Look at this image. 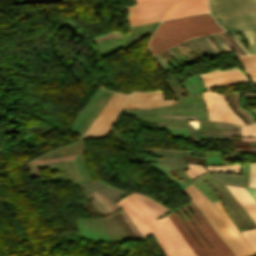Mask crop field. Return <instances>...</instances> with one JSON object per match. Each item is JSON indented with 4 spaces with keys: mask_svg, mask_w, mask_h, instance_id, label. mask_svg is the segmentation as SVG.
I'll return each mask as SVG.
<instances>
[{
    "mask_svg": "<svg viewBox=\"0 0 256 256\" xmlns=\"http://www.w3.org/2000/svg\"><path fill=\"white\" fill-rule=\"evenodd\" d=\"M116 204L121 206L143 236L153 234L166 256H196L170 220H156L171 209L149 197L132 193Z\"/></svg>",
    "mask_w": 256,
    "mask_h": 256,
    "instance_id": "8a807250",
    "label": "crop field"
},
{
    "mask_svg": "<svg viewBox=\"0 0 256 256\" xmlns=\"http://www.w3.org/2000/svg\"><path fill=\"white\" fill-rule=\"evenodd\" d=\"M189 208L195 214L200 223L195 219L189 209L185 206L181 207L184 212L190 217V219L194 222L200 232L203 234L205 239L211 245V247L207 244V242L201 237L198 230L192 224V222L188 219V217L182 212L180 208L176 209L180 216L183 218L187 226L190 228L192 233L195 235L197 240L200 242L201 246L194 236L191 234L189 229L186 227L184 222L181 220L176 211L167 215L192 250L195 252L197 256H233V254L229 251V249L225 246V244L221 241V239L217 236V234L213 231V229L209 226V224L205 221L193 203L188 204Z\"/></svg>",
    "mask_w": 256,
    "mask_h": 256,
    "instance_id": "ac0d7876",
    "label": "crop field"
},
{
    "mask_svg": "<svg viewBox=\"0 0 256 256\" xmlns=\"http://www.w3.org/2000/svg\"><path fill=\"white\" fill-rule=\"evenodd\" d=\"M223 31L209 14H198L162 21L156 30L150 51L155 55L187 38Z\"/></svg>",
    "mask_w": 256,
    "mask_h": 256,
    "instance_id": "34b2d1b8",
    "label": "crop field"
},
{
    "mask_svg": "<svg viewBox=\"0 0 256 256\" xmlns=\"http://www.w3.org/2000/svg\"><path fill=\"white\" fill-rule=\"evenodd\" d=\"M209 12L228 32L244 30L256 53V0H208Z\"/></svg>",
    "mask_w": 256,
    "mask_h": 256,
    "instance_id": "412701ff",
    "label": "crop field"
},
{
    "mask_svg": "<svg viewBox=\"0 0 256 256\" xmlns=\"http://www.w3.org/2000/svg\"><path fill=\"white\" fill-rule=\"evenodd\" d=\"M136 3L124 7L130 26L207 11L206 0H141Z\"/></svg>",
    "mask_w": 256,
    "mask_h": 256,
    "instance_id": "f4fd0767",
    "label": "crop field"
},
{
    "mask_svg": "<svg viewBox=\"0 0 256 256\" xmlns=\"http://www.w3.org/2000/svg\"><path fill=\"white\" fill-rule=\"evenodd\" d=\"M198 76L208 90V92H204L202 95L205 106L208 109L209 120L228 121L234 124L244 125V122L228 107L224 96L210 92L209 89L218 86L250 83L246 76L237 68L225 71L215 70L207 74H199Z\"/></svg>",
    "mask_w": 256,
    "mask_h": 256,
    "instance_id": "dd49c442",
    "label": "crop field"
},
{
    "mask_svg": "<svg viewBox=\"0 0 256 256\" xmlns=\"http://www.w3.org/2000/svg\"><path fill=\"white\" fill-rule=\"evenodd\" d=\"M193 187L192 185L186 189H184V192L187 191ZM191 200L194 202V204L197 206V208L200 210V212L204 215V217L208 220V222L213 226V228L218 232V234L223 238V240L228 244V246L233 250V252L237 256H251L255 254L253 249L248 245V243L242 238V236L239 234L236 227L233 225V223L230 221L228 215L226 214L221 202L215 204V207L219 211V213L222 215L226 225L231 230L232 233L229 231V229L226 227L224 222L221 220L219 215L216 213V211L213 209V207L207 202V200L193 187L187 192H185ZM256 256V255H254Z\"/></svg>",
    "mask_w": 256,
    "mask_h": 256,
    "instance_id": "e52e79f7",
    "label": "crop field"
},
{
    "mask_svg": "<svg viewBox=\"0 0 256 256\" xmlns=\"http://www.w3.org/2000/svg\"><path fill=\"white\" fill-rule=\"evenodd\" d=\"M129 96L130 95H121L111 92L82 137L104 136L108 132Z\"/></svg>",
    "mask_w": 256,
    "mask_h": 256,
    "instance_id": "d8731c3e",
    "label": "crop field"
},
{
    "mask_svg": "<svg viewBox=\"0 0 256 256\" xmlns=\"http://www.w3.org/2000/svg\"><path fill=\"white\" fill-rule=\"evenodd\" d=\"M175 104L173 99L164 100L161 91L153 93H135L127 102L125 108L158 107Z\"/></svg>",
    "mask_w": 256,
    "mask_h": 256,
    "instance_id": "5a996713",
    "label": "crop field"
},
{
    "mask_svg": "<svg viewBox=\"0 0 256 256\" xmlns=\"http://www.w3.org/2000/svg\"><path fill=\"white\" fill-rule=\"evenodd\" d=\"M227 188L236 197V199L240 202V204L245 208V210L250 214L256 223V203L251 199L245 189L232 186H227ZM250 231L256 238V229H252Z\"/></svg>",
    "mask_w": 256,
    "mask_h": 256,
    "instance_id": "3316defc",
    "label": "crop field"
},
{
    "mask_svg": "<svg viewBox=\"0 0 256 256\" xmlns=\"http://www.w3.org/2000/svg\"><path fill=\"white\" fill-rule=\"evenodd\" d=\"M209 172H241V164L210 167L205 166Z\"/></svg>",
    "mask_w": 256,
    "mask_h": 256,
    "instance_id": "28ad6ade",
    "label": "crop field"
},
{
    "mask_svg": "<svg viewBox=\"0 0 256 256\" xmlns=\"http://www.w3.org/2000/svg\"><path fill=\"white\" fill-rule=\"evenodd\" d=\"M251 57H256V55H250V56H244L243 59L245 58H251ZM243 69L246 71L248 75H256V64H250V63H256V61H249V60H256V58H251V59H245L244 61H249L245 62L246 64L250 65H245L244 62L242 61L241 57H238Z\"/></svg>",
    "mask_w": 256,
    "mask_h": 256,
    "instance_id": "d1516ede",
    "label": "crop field"
},
{
    "mask_svg": "<svg viewBox=\"0 0 256 256\" xmlns=\"http://www.w3.org/2000/svg\"><path fill=\"white\" fill-rule=\"evenodd\" d=\"M188 165V169L185 171L191 178H194L204 172H206V170L204 169L203 166L199 165V164H187Z\"/></svg>",
    "mask_w": 256,
    "mask_h": 256,
    "instance_id": "22f410ed",
    "label": "crop field"
},
{
    "mask_svg": "<svg viewBox=\"0 0 256 256\" xmlns=\"http://www.w3.org/2000/svg\"><path fill=\"white\" fill-rule=\"evenodd\" d=\"M249 187L256 188V163H250Z\"/></svg>",
    "mask_w": 256,
    "mask_h": 256,
    "instance_id": "cbeb9de0",
    "label": "crop field"
},
{
    "mask_svg": "<svg viewBox=\"0 0 256 256\" xmlns=\"http://www.w3.org/2000/svg\"><path fill=\"white\" fill-rule=\"evenodd\" d=\"M242 136H256V124L242 126Z\"/></svg>",
    "mask_w": 256,
    "mask_h": 256,
    "instance_id": "5142ce71",
    "label": "crop field"
},
{
    "mask_svg": "<svg viewBox=\"0 0 256 256\" xmlns=\"http://www.w3.org/2000/svg\"><path fill=\"white\" fill-rule=\"evenodd\" d=\"M244 237L247 239V241L250 243V245L254 248L256 251V239L253 237V235L250 233L249 230L241 232Z\"/></svg>",
    "mask_w": 256,
    "mask_h": 256,
    "instance_id": "d9b57169",
    "label": "crop field"
},
{
    "mask_svg": "<svg viewBox=\"0 0 256 256\" xmlns=\"http://www.w3.org/2000/svg\"><path fill=\"white\" fill-rule=\"evenodd\" d=\"M245 189L256 202V189H248V188H245Z\"/></svg>",
    "mask_w": 256,
    "mask_h": 256,
    "instance_id": "733c2abd",
    "label": "crop field"
},
{
    "mask_svg": "<svg viewBox=\"0 0 256 256\" xmlns=\"http://www.w3.org/2000/svg\"><path fill=\"white\" fill-rule=\"evenodd\" d=\"M252 81H256V77H250Z\"/></svg>",
    "mask_w": 256,
    "mask_h": 256,
    "instance_id": "4a817a6b",
    "label": "crop field"
},
{
    "mask_svg": "<svg viewBox=\"0 0 256 256\" xmlns=\"http://www.w3.org/2000/svg\"><path fill=\"white\" fill-rule=\"evenodd\" d=\"M133 1H136V0H133Z\"/></svg>",
    "mask_w": 256,
    "mask_h": 256,
    "instance_id": "bc2a9ffb",
    "label": "crop field"
}]
</instances>
